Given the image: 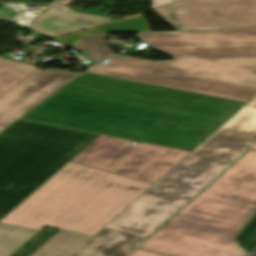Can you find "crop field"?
<instances>
[{"label": "crop field", "mask_w": 256, "mask_h": 256, "mask_svg": "<svg viewBox=\"0 0 256 256\" xmlns=\"http://www.w3.org/2000/svg\"><path fill=\"white\" fill-rule=\"evenodd\" d=\"M36 69L38 68L32 65L5 61L0 58V96Z\"/></svg>", "instance_id": "cbeb9de0"}, {"label": "crop field", "mask_w": 256, "mask_h": 256, "mask_svg": "<svg viewBox=\"0 0 256 256\" xmlns=\"http://www.w3.org/2000/svg\"><path fill=\"white\" fill-rule=\"evenodd\" d=\"M106 37L105 34H88L71 45V47L79 52L88 51L85 55L97 61L112 51L105 45L104 39Z\"/></svg>", "instance_id": "d9b57169"}, {"label": "crop field", "mask_w": 256, "mask_h": 256, "mask_svg": "<svg viewBox=\"0 0 256 256\" xmlns=\"http://www.w3.org/2000/svg\"><path fill=\"white\" fill-rule=\"evenodd\" d=\"M98 135L17 120L0 133V219Z\"/></svg>", "instance_id": "dd49c442"}, {"label": "crop field", "mask_w": 256, "mask_h": 256, "mask_svg": "<svg viewBox=\"0 0 256 256\" xmlns=\"http://www.w3.org/2000/svg\"><path fill=\"white\" fill-rule=\"evenodd\" d=\"M71 1L72 0H58V2L63 3L65 5H67ZM180 1H183V0H151L152 9L162 7V6H165V5H169V4H173V3H176V2H180Z\"/></svg>", "instance_id": "733c2abd"}, {"label": "crop field", "mask_w": 256, "mask_h": 256, "mask_svg": "<svg viewBox=\"0 0 256 256\" xmlns=\"http://www.w3.org/2000/svg\"><path fill=\"white\" fill-rule=\"evenodd\" d=\"M138 248L165 256L256 250V149H249Z\"/></svg>", "instance_id": "34b2d1b8"}, {"label": "crop field", "mask_w": 256, "mask_h": 256, "mask_svg": "<svg viewBox=\"0 0 256 256\" xmlns=\"http://www.w3.org/2000/svg\"><path fill=\"white\" fill-rule=\"evenodd\" d=\"M128 256H161L136 248Z\"/></svg>", "instance_id": "4a817a6b"}, {"label": "crop field", "mask_w": 256, "mask_h": 256, "mask_svg": "<svg viewBox=\"0 0 256 256\" xmlns=\"http://www.w3.org/2000/svg\"><path fill=\"white\" fill-rule=\"evenodd\" d=\"M99 135L71 162L154 184L189 152Z\"/></svg>", "instance_id": "e52e79f7"}, {"label": "crop field", "mask_w": 256, "mask_h": 256, "mask_svg": "<svg viewBox=\"0 0 256 256\" xmlns=\"http://www.w3.org/2000/svg\"><path fill=\"white\" fill-rule=\"evenodd\" d=\"M150 31L143 15H138L132 18H126L101 26L76 32L60 38L54 39L63 45H71L87 33H120V32H145Z\"/></svg>", "instance_id": "d1516ede"}, {"label": "crop field", "mask_w": 256, "mask_h": 256, "mask_svg": "<svg viewBox=\"0 0 256 256\" xmlns=\"http://www.w3.org/2000/svg\"><path fill=\"white\" fill-rule=\"evenodd\" d=\"M244 104L83 73L21 118L192 151Z\"/></svg>", "instance_id": "8a807250"}, {"label": "crop field", "mask_w": 256, "mask_h": 256, "mask_svg": "<svg viewBox=\"0 0 256 256\" xmlns=\"http://www.w3.org/2000/svg\"><path fill=\"white\" fill-rule=\"evenodd\" d=\"M77 74L52 69L32 73L0 97V126L11 123Z\"/></svg>", "instance_id": "5a996713"}, {"label": "crop field", "mask_w": 256, "mask_h": 256, "mask_svg": "<svg viewBox=\"0 0 256 256\" xmlns=\"http://www.w3.org/2000/svg\"><path fill=\"white\" fill-rule=\"evenodd\" d=\"M90 238L60 230L31 256H70Z\"/></svg>", "instance_id": "22f410ed"}, {"label": "crop field", "mask_w": 256, "mask_h": 256, "mask_svg": "<svg viewBox=\"0 0 256 256\" xmlns=\"http://www.w3.org/2000/svg\"><path fill=\"white\" fill-rule=\"evenodd\" d=\"M145 239L104 228L71 256H127Z\"/></svg>", "instance_id": "28ad6ade"}, {"label": "crop field", "mask_w": 256, "mask_h": 256, "mask_svg": "<svg viewBox=\"0 0 256 256\" xmlns=\"http://www.w3.org/2000/svg\"><path fill=\"white\" fill-rule=\"evenodd\" d=\"M135 37L175 61L111 54L88 72L248 102L256 95V28L145 32Z\"/></svg>", "instance_id": "ac0d7876"}, {"label": "crop field", "mask_w": 256, "mask_h": 256, "mask_svg": "<svg viewBox=\"0 0 256 256\" xmlns=\"http://www.w3.org/2000/svg\"><path fill=\"white\" fill-rule=\"evenodd\" d=\"M152 184L68 162L0 224L44 225L93 237Z\"/></svg>", "instance_id": "412701ff"}, {"label": "crop field", "mask_w": 256, "mask_h": 256, "mask_svg": "<svg viewBox=\"0 0 256 256\" xmlns=\"http://www.w3.org/2000/svg\"><path fill=\"white\" fill-rule=\"evenodd\" d=\"M36 231L0 225V256H9Z\"/></svg>", "instance_id": "5142ce71"}, {"label": "crop field", "mask_w": 256, "mask_h": 256, "mask_svg": "<svg viewBox=\"0 0 256 256\" xmlns=\"http://www.w3.org/2000/svg\"><path fill=\"white\" fill-rule=\"evenodd\" d=\"M153 11L176 30L256 27V0H187Z\"/></svg>", "instance_id": "d8731c3e"}, {"label": "crop field", "mask_w": 256, "mask_h": 256, "mask_svg": "<svg viewBox=\"0 0 256 256\" xmlns=\"http://www.w3.org/2000/svg\"><path fill=\"white\" fill-rule=\"evenodd\" d=\"M117 19L77 13L58 3L33 20V31L51 39Z\"/></svg>", "instance_id": "3316defc"}, {"label": "crop field", "mask_w": 256, "mask_h": 256, "mask_svg": "<svg viewBox=\"0 0 256 256\" xmlns=\"http://www.w3.org/2000/svg\"><path fill=\"white\" fill-rule=\"evenodd\" d=\"M7 1H11V0H0L1 3L7 2ZM30 1L38 2V3H42V4H50L54 0H30Z\"/></svg>", "instance_id": "bc2a9ffb"}, {"label": "crop field", "mask_w": 256, "mask_h": 256, "mask_svg": "<svg viewBox=\"0 0 256 256\" xmlns=\"http://www.w3.org/2000/svg\"><path fill=\"white\" fill-rule=\"evenodd\" d=\"M254 136L256 96L106 227L151 235L255 144Z\"/></svg>", "instance_id": "f4fd0767"}, {"label": "crop field", "mask_w": 256, "mask_h": 256, "mask_svg": "<svg viewBox=\"0 0 256 256\" xmlns=\"http://www.w3.org/2000/svg\"><path fill=\"white\" fill-rule=\"evenodd\" d=\"M109 61H110V60H109ZM109 61H107V62H109ZM107 62H106V63H107ZM106 63H104V64H106ZM104 64L96 65V67H101V68H103V67H104V66H103Z\"/></svg>", "instance_id": "214f88e0"}]
</instances>
